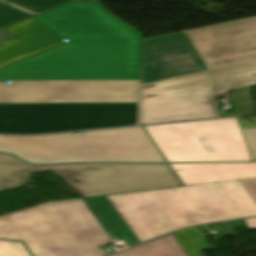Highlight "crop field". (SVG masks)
Masks as SVG:
<instances>
[{
    "label": "crop field",
    "mask_w": 256,
    "mask_h": 256,
    "mask_svg": "<svg viewBox=\"0 0 256 256\" xmlns=\"http://www.w3.org/2000/svg\"><path fill=\"white\" fill-rule=\"evenodd\" d=\"M36 20L70 42L0 69V103L138 102L140 35L97 2Z\"/></svg>",
    "instance_id": "1"
},
{
    "label": "crop field",
    "mask_w": 256,
    "mask_h": 256,
    "mask_svg": "<svg viewBox=\"0 0 256 256\" xmlns=\"http://www.w3.org/2000/svg\"><path fill=\"white\" fill-rule=\"evenodd\" d=\"M0 238L20 240L34 256H104L119 239L139 243L107 196L45 203L0 217Z\"/></svg>",
    "instance_id": "2"
},
{
    "label": "crop field",
    "mask_w": 256,
    "mask_h": 256,
    "mask_svg": "<svg viewBox=\"0 0 256 256\" xmlns=\"http://www.w3.org/2000/svg\"><path fill=\"white\" fill-rule=\"evenodd\" d=\"M108 197L140 242L191 225L256 216L239 180Z\"/></svg>",
    "instance_id": "3"
},
{
    "label": "crop field",
    "mask_w": 256,
    "mask_h": 256,
    "mask_svg": "<svg viewBox=\"0 0 256 256\" xmlns=\"http://www.w3.org/2000/svg\"><path fill=\"white\" fill-rule=\"evenodd\" d=\"M256 61V17L142 41L141 84Z\"/></svg>",
    "instance_id": "4"
},
{
    "label": "crop field",
    "mask_w": 256,
    "mask_h": 256,
    "mask_svg": "<svg viewBox=\"0 0 256 256\" xmlns=\"http://www.w3.org/2000/svg\"><path fill=\"white\" fill-rule=\"evenodd\" d=\"M0 152L34 163L166 162L142 127L43 136H0Z\"/></svg>",
    "instance_id": "5"
},
{
    "label": "crop field",
    "mask_w": 256,
    "mask_h": 256,
    "mask_svg": "<svg viewBox=\"0 0 256 256\" xmlns=\"http://www.w3.org/2000/svg\"><path fill=\"white\" fill-rule=\"evenodd\" d=\"M256 85V62L141 86L140 124L217 117L213 100Z\"/></svg>",
    "instance_id": "6"
},
{
    "label": "crop field",
    "mask_w": 256,
    "mask_h": 256,
    "mask_svg": "<svg viewBox=\"0 0 256 256\" xmlns=\"http://www.w3.org/2000/svg\"><path fill=\"white\" fill-rule=\"evenodd\" d=\"M31 172H53L84 197L181 186L167 164L29 165L0 154V190L23 185Z\"/></svg>",
    "instance_id": "7"
},
{
    "label": "crop field",
    "mask_w": 256,
    "mask_h": 256,
    "mask_svg": "<svg viewBox=\"0 0 256 256\" xmlns=\"http://www.w3.org/2000/svg\"><path fill=\"white\" fill-rule=\"evenodd\" d=\"M138 103L0 104V133L38 134L137 124Z\"/></svg>",
    "instance_id": "8"
},
{
    "label": "crop field",
    "mask_w": 256,
    "mask_h": 256,
    "mask_svg": "<svg viewBox=\"0 0 256 256\" xmlns=\"http://www.w3.org/2000/svg\"><path fill=\"white\" fill-rule=\"evenodd\" d=\"M145 128L168 162L251 161L237 118Z\"/></svg>",
    "instance_id": "9"
},
{
    "label": "crop field",
    "mask_w": 256,
    "mask_h": 256,
    "mask_svg": "<svg viewBox=\"0 0 256 256\" xmlns=\"http://www.w3.org/2000/svg\"><path fill=\"white\" fill-rule=\"evenodd\" d=\"M18 38L0 44V66L64 43L62 37L31 18L7 28Z\"/></svg>",
    "instance_id": "10"
},
{
    "label": "crop field",
    "mask_w": 256,
    "mask_h": 256,
    "mask_svg": "<svg viewBox=\"0 0 256 256\" xmlns=\"http://www.w3.org/2000/svg\"><path fill=\"white\" fill-rule=\"evenodd\" d=\"M185 186L256 177L255 163L170 164Z\"/></svg>",
    "instance_id": "11"
},
{
    "label": "crop field",
    "mask_w": 256,
    "mask_h": 256,
    "mask_svg": "<svg viewBox=\"0 0 256 256\" xmlns=\"http://www.w3.org/2000/svg\"><path fill=\"white\" fill-rule=\"evenodd\" d=\"M111 256H187L173 235L128 249Z\"/></svg>",
    "instance_id": "12"
},
{
    "label": "crop field",
    "mask_w": 256,
    "mask_h": 256,
    "mask_svg": "<svg viewBox=\"0 0 256 256\" xmlns=\"http://www.w3.org/2000/svg\"><path fill=\"white\" fill-rule=\"evenodd\" d=\"M189 256H201L198 250L209 249L210 246L196 227L174 232Z\"/></svg>",
    "instance_id": "13"
},
{
    "label": "crop field",
    "mask_w": 256,
    "mask_h": 256,
    "mask_svg": "<svg viewBox=\"0 0 256 256\" xmlns=\"http://www.w3.org/2000/svg\"><path fill=\"white\" fill-rule=\"evenodd\" d=\"M35 16V14L24 10L7 1L0 0V28Z\"/></svg>",
    "instance_id": "14"
},
{
    "label": "crop field",
    "mask_w": 256,
    "mask_h": 256,
    "mask_svg": "<svg viewBox=\"0 0 256 256\" xmlns=\"http://www.w3.org/2000/svg\"><path fill=\"white\" fill-rule=\"evenodd\" d=\"M38 14L51 10L70 1H121V0H10Z\"/></svg>",
    "instance_id": "15"
},
{
    "label": "crop field",
    "mask_w": 256,
    "mask_h": 256,
    "mask_svg": "<svg viewBox=\"0 0 256 256\" xmlns=\"http://www.w3.org/2000/svg\"><path fill=\"white\" fill-rule=\"evenodd\" d=\"M26 250L20 242L0 241V256H30Z\"/></svg>",
    "instance_id": "16"
},
{
    "label": "crop field",
    "mask_w": 256,
    "mask_h": 256,
    "mask_svg": "<svg viewBox=\"0 0 256 256\" xmlns=\"http://www.w3.org/2000/svg\"><path fill=\"white\" fill-rule=\"evenodd\" d=\"M245 136L251 160L256 161V128L242 129Z\"/></svg>",
    "instance_id": "17"
},
{
    "label": "crop field",
    "mask_w": 256,
    "mask_h": 256,
    "mask_svg": "<svg viewBox=\"0 0 256 256\" xmlns=\"http://www.w3.org/2000/svg\"><path fill=\"white\" fill-rule=\"evenodd\" d=\"M253 200L256 202V178L240 180Z\"/></svg>",
    "instance_id": "18"
},
{
    "label": "crop field",
    "mask_w": 256,
    "mask_h": 256,
    "mask_svg": "<svg viewBox=\"0 0 256 256\" xmlns=\"http://www.w3.org/2000/svg\"><path fill=\"white\" fill-rule=\"evenodd\" d=\"M246 222L250 228H256V219H249Z\"/></svg>",
    "instance_id": "19"
}]
</instances>
